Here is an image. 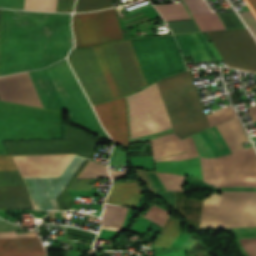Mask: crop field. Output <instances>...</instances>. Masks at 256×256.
<instances>
[{
  "label": "crop field",
  "instance_id": "8a807250",
  "mask_svg": "<svg viewBox=\"0 0 256 256\" xmlns=\"http://www.w3.org/2000/svg\"><path fill=\"white\" fill-rule=\"evenodd\" d=\"M11 154L76 153L90 159L98 141L67 126L66 140L6 142ZM74 154L12 155L22 177L59 176ZM88 160L74 156L61 178H77ZM107 167L89 161L78 178H107ZM34 208L69 210L66 190H90L91 179L23 178ZM25 186H0V210L34 209Z\"/></svg>",
  "mask_w": 256,
  "mask_h": 256
},
{
  "label": "crop field",
  "instance_id": "ac0d7876",
  "mask_svg": "<svg viewBox=\"0 0 256 256\" xmlns=\"http://www.w3.org/2000/svg\"><path fill=\"white\" fill-rule=\"evenodd\" d=\"M71 14L4 10L0 75L39 69L73 46Z\"/></svg>",
  "mask_w": 256,
  "mask_h": 256
},
{
  "label": "crop field",
  "instance_id": "34b2d1b8",
  "mask_svg": "<svg viewBox=\"0 0 256 256\" xmlns=\"http://www.w3.org/2000/svg\"><path fill=\"white\" fill-rule=\"evenodd\" d=\"M131 41L148 83L186 69L173 36ZM131 41L94 47L114 99L148 85Z\"/></svg>",
  "mask_w": 256,
  "mask_h": 256
},
{
  "label": "crop field",
  "instance_id": "412701ff",
  "mask_svg": "<svg viewBox=\"0 0 256 256\" xmlns=\"http://www.w3.org/2000/svg\"><path fill=\"white\" fill-rule=\"evenodd\" d=\"M28 73L44 108L66 111L68 121L110 140L100 126L66 59L46 69Z\"/></svg>",
  "mask_w": 256,
  "mask_h": 256
},
{
  "label": "crop field",
  "instance_id": "f4fd0767",
  "mask_svg": "<svg viewBox=\"0 0 256 256\" xmlns=\"http://www.w3.org/2000/svg\"><path fill=\"white\" fill-rule=\"evenodd\" d=\"M61 138V113L0 101L1 140Z\"/></svg>",
  "mask_w": 256,
  "mask_h": 256
},
{
  "label": "crop field",
  "instance_id": "dd49c442",
  "mask_svg": "<svg viewBox=\"0 0 256 256\" xmlns=\"http://www.w3.org/2000/svg\"><path fill=\"white\" fill-rule=\"evenodd\" d=\"M256 226V192H223L204 200L200 227Z\"/></svg>",
  "mask_w": 256,
  "mask_h": 256
},
{
  "label": "crop field",
  "instance_id": "e52e79f7",
  "mask_svg": "<svg viewBox=\"0 0 256 256\" xmlns=\"http://www.w3.org/2000/svg\"><path fill=\"white\" fill-rule=\"evenodd\" d=\"M74 47H88L123 39L115 9L73 14Z\"/></svg>",
  "mask_w": 256,
  "mask_h": 256
},
{
  "label": "crop field",
  "instance_id": "d8731c3e",
  "mask_svg": "<svg viewBox=\"0 0 256 256\" xmlns=\"http://www.w3.org/2000/svg\"><path fill=\"white\" fill-rule=\"evenodd\" d=\"M68 60L91 105L113 99L93 47L72 50Z\"/></svg>",
  "mask_w": 256,
  "mask_h": 256
},
{
  "label": "crop field",
  "instance_id": "5a996713",
  "mask_svg": "<svg viewBox=\"0 0 256 256\" xmlns=\"http://www.w3.org/2000/svg\"><path fill=\"white\" fill-rule=\"evenodd\" d=\"M212 160L219 187H256V154L252 147Z\"/></svg>",
  "mask_w": 256,
  "mask_h": 256
},
{
  "label": "crop field",
  "instance_id": "3316defc",
  "mask_svg": "<svg viewBox=\"0 0 256 256\" xmlns=\"http://www.w3.org/2000/svg\"><path fill=\"white\" fill-rule=\"evenodd\" d=\"M101 124L115 143L128 147L125 98L94 106Z\"/></svg>",
  "mask_w": 256,
  "mask_h": 256
},
{
  "label": "crop field",
  "instance_id": "28ad6ade",
  "mask_svg": "<svg viewBox=\"0 0 256 256\" xmlns=\"http://www.w3.org/2000/svg\"><path fill=\"white\" fill-rule=\"evenodd\" d=\"M127 101L130 124L167 114L156 83L129 97Z\"/></svg>",
  "mask_w": 256,
  "mask_h": 256
},
{
  "label": "crop field",
  "instance_id": "d1516ede",
  "mask_svg": "<svg viewBox=\"0 0 256 256\" xmlns=\"http://www.w3.org/2000/svg\"><path fill=\"white\" fill-rule=\"evenodd\" d=\"M0 100L43 108L26 72L0 77Z\"/></svg>",
  "mask_w": 256,
  "mask_h": 256
},
{
  "label": "crop field",
  "instance_id": "22f410ed",
  "mask_svg": "<svg viewBox=\"0 0 256 256\" xmlns=\"http://www.w3.org/2000/svg\"><path fill=\"white\" fill-rule=\"evenodd\" d=\"M37 236L36 231L16 235L15 230L0 231V238ZM0 256H45L38 237L0 239Z\"/></svg>",
  "mask_w": 256,
  "mask_h": 256
},
{
  "label": "crop field",
  "instance_id": "cbeb9de0",
  "mask_svg": "<svg viewBox=\"0 0 256 256\" xmlns=\"http://www.w3.org/2000/svg\"><path fill=\"white\" fill-rule=\"evenodd\" d=\"M182 56H193L195 62L213 60L211 52L200 33L174 35Z\"/></svg>",
  "mask_w": 256,
  "mask_h": 256
},
{
  "label": "crop field",
  "instance_id": "5142ce71",
  "mask_svg": "<svg viewBox=\"0 0 256 256\" xmlns=\"http://www.w3.org/2000/svg\"><path fill=\"white\" fill-rule=\"evenodd\" d=\"M141 193L142 188L137 181L130 183L113 182L107 203L124 204L135 207Z\"/></svg>",
  "mask_w": 256,
  "mask_h": 256
},
{
  "label": "crop field",
  "instance_id": "d9b57169",
  "mask_svg": "<svg viewBox=\"0 0 256 256\" xmlns=\"http://www.w3.org/2000/svg\"><path fill=\"white\" fill-rule=\"evenodd\" d=\"M217 128L232 153L243 149L240 142L248 138L237 117L217 125Z\"/></svg>",
  "mask_w": 256,
  "mask_h": 256
},
{
  "label": "crop field",
  "instance_id": "733c2abd",
  "mask_svg": "<svg viewBox=\"0 0 256 256\" xmlns=\"http://www.w3.org/2000/svg\"><path fill=\"white\" fill-rule=\"evenodd\" d=\"M151 142L154 159L185 151L181 140L174 133L152 139Z\"/></svg>",
  "mask_w": 256,
  "mask_h": 256
},
{
  "label": "crop field",
  "instance_id": "4a817a6b",
  "mask_svg": "<svg viewBox=\"0 0 256 256\" xmlns=\"http://www.w3.org/2000/svg\"><path fill=\"white\" fill-rule=\"evenodd\" d=\"M171 127L172 126L170 124L169 118L166 115L156 119L132 124L130 125V130H131V136L132 138H134L138 136L160 132Z\"/></svg>",
  "mask_w": 256,
  "mask_h": 256
},
{
  "label": "crop field",
  "instance_id": "bc2a9ffb",
  "mask_svg": "<svg viewBox=\"0 0 256 256\" xmlns=\"http://www.w3.org/2000/svg\"><path fill=\"white\" fill-rule=\"evenodd\" d=\"M127 208L106 204L103 210L102 228L120 231Z\"/></svg>",
  "mask_w": 256,
  "mask_h": 256
},
{
  "label": "crop field",
  "instance_id": "214f88e0",
  "mask_svg": "<svg viewBox=\"0 0 256 256\" xmlns=\"http://www.w3.org/2000/svg\"><path fill=\"white\" fill-rule=\"evenodd\" d=\"M181 230L180 221L169 218L165 227L154 241V246L170 247Z\"/></svg>",
  "mask_w": 256,
  "mask_h": 256
},
{
  "label": "crop field",
  "instance_id": "92a150f3",
  "mask_svg": "<svg viewBox=\"0 0 256 256\" xmlns=\"http://www.w3.org/2000/svg\"><path fill=\"white\" fill-rule=\"evenodd\" d=\"M155 7L160 11L165 20L189 18L182 3L162 4Z\"/></svg>",
  "mask_w": 256,
  "mask_h": 256
},
{
  "label": "crop field",
  "instance_id": "dafd665d",
  "mask_svg": "<svg viewBox=\"0 0 256 256\" xmlns=\"http://www.w3.org/2000/svg\"><path fill=\"white\" fill-rule=\"evenodd\" d=\"M112 0H77L74 12L95 11L111 8Z\"/></svg>",
  "mask_w": 256,
  "mask_h": 256
},
{
  "label": "crop field",
  "instance_id": "00972430",
  "mask_svg": "<svg viewBox=\"0 0 256 256\" xmlns=\"http://www.w3.org/2000/svg\"><path fill=\"white\" fill-rule=\"evenodd\" d=\"M161 179L166 190L183 191L182 184L184 182L183 176L173 174L156 173Z\"/></svg>",
  "mask_w": 256,
  "mask_h": 256
},
{
  "label": "crop field",
  "instance_id": "a9b5d70f",
  "mask_svg": "<svg viewBox=\"0 0 256 256\" xmlns=\"http://www.w3.org/2000/svg\"><path fill=\"white\" fill-rule=\"evenodd\" d=\"M206 116L208 118L210 126L212 127L218 123L229 120V119L235 117L236 115L234 113L232 106H228L221 110L207 114Z\"/></svg>",
  "mask_w": 256,
  "mask_h": 256
},
{
  "label": "crop field",
  "instance_id": "4177f3b9",
  "mask_svg": "<svg viewBox=\"0 0 256 256\" xmlns=\"http://www.w3.org/2000/svg\"><path fill=\"white\" fill-rule=\"evenodd\" d=\"M56 0H25L24 9L55 12Z\"/></svg>",
  "mask_w": 256,
  "mask_h": 256
},
{
  "label": "crop field",
  "instance_id": "730fd06b",
  "mask_svg": "<svg viewBox=\"0 0 256 256\" xmlns=\"http://www.w3.org/2000/svg\"><path fill=\"white\" fill-rule=\"evenodd\" d=\"M200 160L204 181L218 187L212 160L203 158H200Z\"/></svg>",
  "mask_w": 256,
  "mask_h": 256
},
{
  "label": "crop field",
  "instance_id": "eef30255",
  "mask_svg": "<svg viewBox=\"0 0 256 256\" xmlns=\"http://www.w3.org/2000/svg\"><path fill=\"white\" fill-rule=\"evenodd\" d=\"M0 185H24L18 171H0Z\"/></svg>",
  "mask_w": 256,
  "mask_h": 256
},
{
  "label": "crop field",
  "instance_id": "ae1a2a85",
  "mask_svg": "<svg viewBox=\"0 0 256 256\" xmlns=\"http://www.w3.org/2000/svg\"><path fill=\"white\" fill-rule=\"evenodd\" d=\"M146 218L160 224L163 226V224L165 223V221L168 219L169 214L168 212L156 207V206H152L150 208V210L145 214Z\"/></svg>",
  "mask_w": 256,
  "mask_h": 256
},
{
  "label": "crop field",
  "instance_id": "d3111659",
  "mask_svg": "<svg viewBox=\"0 0 256 256\" xmlns=\"http://www.w3.org/2000/svg\"><path fill=\"white\" fill-rule=\"evenodd\" d=\"M191 14L211 12L203 0H184Z\"/></svg>",
  "mask_w": 256,
  "mask_h": 256
},
{
  "label": "crop field",
  "instance_id": "750c4746",
  "mask_svg": "<svg viewBox=\"0 0 256 256\" xmlns=\"http://www.w3.org/2000/svg\"><path fill=\"white\" fill-rule=\"evenodd\" d=\"M240 16L256 37V18L253 16L251 11L240 13Z\"/></svg>",
  "mask_w": 256,
  "mask_h": 256
},
{
  "label": "crop field",
  "instance_id": "bd1437ed",
  "mask_svg": "<svg viewBox=\"0 0 256 256\" xmlns=\"http://www.w3.org/2000/svg\"><path fill=\"white\" fill-rule=\"evenodd\" d=\"M0 170H17L10 155H0Z\"/></svg>",
  "mask_w": 256,
  "mask_h": 256
},
{
  "label": "crop field",
  "instance_id": "1d83c4d3",
  "mask_svg": "<svg viewBox=\"0 0 256 256\" xmlns=\"http://www.w3.org/2000/svg\"><path fill=\"white\" fill-rule=\"evenodd\" d=\"M240 244L249 256H256V239L240 240Z\"/></svg>",
  "mask_w": 256,
  "mask_h": 256
},
{
  "label": "crop field",
  "instance_id": "120bbe31",
  "mask_svg": "<svg viewBox=\"0 0 256 256\" xmlns=\"http://www.w3.org/2000/svg\"><path fill=\"white\" fill-rule=\"evenodd\" d=\"M24 0H0V7L10 9H23Z\"/></svg>",
  "mask_w": 256,
  "mask_h": 256
},
{
  "label": "crop field",
  "instance_id": "d32e631a",
  "mask_svg": "<svg viewBox=\"0 0 256 256\" xmlns=\"http://www.w3.org/2000/svg\"><path fill=\"white\" fill-rule=\"evenodd\" d=\"M75 0H58L56 11L58 12H72Z\"/></svg>",
  "mask_w": 256,
  "mask_h": 256
},
{
  "label": "crop field",
  "instance_id": "5866460e",
  "mask_svg": "<svg viewBox=\"0 0 256 256\" xmlns=\"http://www.w3.org/2000/svg\"><path fill=\"white\" fill-rule=\"evenodd\" d=\"M186 159H188L187 154L186 153H181V154H178V155L158 159L156 161H174V160H186Z\"/></svg>",
  "mask_w": 256,
  "mask_h": 256
},
{
  "label": "crop field",
  "instance_id": "028f5c9d",
  "mask_svg": "<svg viewBox=\"0 0 256 256\" xmlns=\"http://www.w3.org/2000/svg\"><path fill=\"white\" fill-rule=\"evenodd\" d=\"M244 2L248 5V7L252 10L254 15L256 16V0H244Z\"/></svg>",
  "mask_w": 256,
  "mask_h": 256
},
{
  "label": "crop field",
  "instance_id": "e1f06a70",
  "mask_svg": "<svg viewBox=\"0 0 256 256\" xmlns=\"http://www.w3.org/2000/svg\"><path fill=\"white\" fill-rule=\"evenodd\" d=\"M1 17H2V9H0V34H1Z\"/></svg>",
  "mask_w": 256,
  "mask_h": 256
}]
</instances>
